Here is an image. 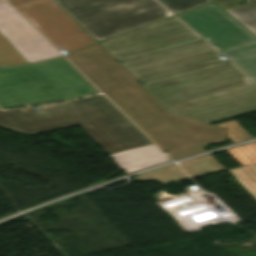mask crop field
<instances>
[{
  "label": "crop field",
  "mask_w": 256,
  "mask_h": 256,
  "mask_svg": "<svg viewBox=\"0 0 256 256\" xmlns=\"http://www.w3.org/2000/svg\"><path fill=\"white\" fill-rule=\"evenodd\" d=\"M100 44L163 107L255 83L174 16Z\"/></svg>",
  "instance_id": "1"
},
{
  "label": "crop field",
  "mask_w": 256,
  "mask_h": 256,
  "mask_svg": "<svg viewBox=\"0 0 256 256\" xmlns=\"http://www.w3.org/2000/svg\"><path fill=\"white\" fill-rule=\"evenodd\" d=\"M157 146L175 159L223 143L226 128L169 114L99 43L66 56Z\"/></svg>",
  "instance_id": "2"
},
{
  "label": "crop field",
  "mask_w": 256,
  "mask_h": 256,
  "mask_svg": "<svg viewBox=\"0 0 256 256\" xmlns=\"http://www.w3.org/2000/svg\"><path fill=\"white\" fill-rule=\"evenodd\" d=\"M37 107L0 111V121L27 134L79 125L108 155L152 144L103 95Z\"/></svg>",
  "instance_id": "3"
},
{
  "label": "crop field",
  "mask_w": 256,
  "mask_h": 256,
  "mask_svg": "<svg viewBox=\"0 0 256 256\" xmlns=\"http://www.w3.org/2000/svg\"><path fill=\"white\" fill-rule=\"evenodd\" d=\"M98 41L172 14L156 0H55Z\"/></svg>",
  "instance_id": "4"
},
{
  "label": "crop field",
  "mask_w": 256,
  "mask_h": 256,
  "mask_svg": "<svg viewBox=\"0 0 256 256\" xmlns=\"http://www.w3.org/2000/svg\"><path fill=\"white\" fill-rule=\"evenodd\" d=\"M56 48L68 52L98 42L54 0H8Z\"/></svg>",
  "instance_id": "5"
},
{
  "label": "crop field",
  "mask_w": 256,
  "mask_h": 256,
  "mask_svg": "<svg viewBox=\"0 0 256 256\" xmlns=\"http://www.w3.org/2000/svg\"><path fill=\"white\" fill-rule=\"evenodd\" d=\"M173 114L212 123L256 112V84L165 107Z\"/></svg>",
  "instance_id": "6"
},
{
  "label": "crop field",
  "mask_w": 256,
  "mask_h": 256,
  "mask_svg": "<svg viewBox=\"0 0 256 256\" xmlns=\"http://www.w3.org/2000/svg\"><path fill=\"white\" fill-rule=\"evenodd\" d=\"M31 65L0 66V106H19L60 101L62 98Z\"/></svg>",
  "instance_id": "7"
},
{
  "label": "crop field",
  "mask_w": 256,
  "mask_h": 256,
  "mask_svg": "<svg viewBox=\"0 0 256 256\" xmlns=\"http://www.w3.org/2000/svg\"><path fill=\"white\" fill-rule=\"evenodd\" d=\"M202 37H211L218 49H226L256 41V37L235 22L214 3L178 15Z\"/></svg>",
  "instance_id": "8"
},
{
  "label": "crop field",
  "mask_w": 256,
  "mask_h": 256,
  "mask_svg": "<svg viewBox=\"0 0 256 256\" xmlns=\"http://www.w3.org/2000/svg\"><path fill=\"white\" fill-rule=\"evenodd\" d=\"M0 32L29 63L61 55L5 1L0 2Z\"/></svg>",
  "instance_id": "9"
},
{
  "label": "crop field",
  "mask_w": 256,
  "mask_h": 256,
  "mask_svg": "<svg viewBox=\"0 0 256 256\" xmlns=\"http://www.w3.org/2000/svg\"><path fill=\"white\" fill-rule=\"evenodd\" d=\"M64 101L100 93L64 57L31 64Z\"/></svg>",
  "instance_id": "10"
},
{
  "label": "crop field",
  "mask_w": 256,
  "mask_h": 256,
  "mask_svg": "<svg viewBox=\"0 0 256 256\" xmlns=\"http://www.w3.org/2000/svg\"><path fill=\"white\" fill-rule=\"evenodd\" d=\"M110 157L127 174L169 161L154 145L111 155Z\"/></svg>",
  "instance_id": "11"
},
{
  "label": "crop field",
  "mask_w": 256,
  "mask_h": 256,
  "mask_svg": "<svg viewBox=\"0 0 256 256\" xmlns=\"http://www.w3.org/2000/svg\"><path fill=\"white\" fill-rule=\"evenodd\" d=\"M220 52L256 80V42Z\"/></svg>",
  "instance_id": "12"
},
{
  "label": "crop field",
  "mask_w": 256,
  "mask_h": 256,
  "mask_svg": "<svg viewBox=\"0 0 256 256\" xmlns=\"http://www.w3.org/2000/svg\"><path fill=\"white\" fill-rule=\"evenodd\" d=\"M180 166L191 178L225 170L211 155L182 162Z\"/></svg>",
  "instance_id": "13"
},
{
  "label": "crop field",
  "mask_w": 256,
  "mask_h": 256,
  "mask_svg": "<svg viewBox=\"0 0 256 256\" xmlns=\"http://www.w3.org/2000/svg\"><path fill=\"white\" fill-rule=\"evenodd\" d=\"M188 177L184 175L175 165L142 174L134 178V181H150L155 180L161 184L187 180Z\"/></svg>",
  "instance_id": "14"
},
{
  "label": "crop field",
  "mask_w": 256,
  "mask_h": 256,
  "mask_svg": "<svg viewBox=\"0 0 256 256\" xmlns=\"http://www.w3.org/2000/svg\"><path fill=\"white\" fill-rule=\"evenodd\" d=\"M228 172L256 200V164L229 170Z\"/></svg>",
  "instance_id": "15"
},
{
  "label": "crop field",
  "mask_w": 256,
  "mask_h": 256,
  "mask_svg": "<svg viewBox=\"0 0 256 256\" xmlns=\"http://www.w3.org/2000/svg\"><path fill=\"white\" fill-rule=\"evenodd\" d=\"M225 11L256 35V5L227 9Z\"/></svg>",
  "instance_id": "16"
},
{
  "label": "crop field",
  "mask_w": 256,
  "mask_h": 256,
  "mask_svg": "<svg viewBox=\"0 0 256 256\" xmlns=\"http://www.w3.org/2000/svg\"><path fill=\"white\" fill-rule=\"evenodd\" d=\"M28 63L22 55L0 33V65Z\"/></svg>",
  "instance_id": "17"
},
{
  "label": "crop field",
  "mask_w": 256,
  "mask_h": 256,
  "mask_svg": "<svg viewBox=\"0 0 256 256\" xmlns=\"http://www.w3.org/2000/svg\"><path fill=\"white\" fill-rule=\"evenodd\" d=\"M242 166L256 163V143L227 150Z\"/></svg>",
  "instance_id": "18"
},
{
  "label": "crop field",
  "mask_w": 256,
  "mask_h": 256,
  "mask_svg": "<svg viewBox=\"0 0 256 256\" xmlns=\"http://www.w3.org/2000/svg\"><path fill=\"white\" fill-rule=\"evenodd\" d=\"M175 14L211 2V0H160Z\"/></svg>",
  "instance_id": "19"
},
{
  "label": "crop field",
  "mask_w": 256,
  "mask_h": 256,
  "mask_svg": "<svg viewBox=\"0 0 256 256\" xmlns=\"http://www.w3.org/2000/svg\"><path fill=\"white\" fill-rule=\"evenodd\" d=\"M217 126L227 128V137L233 143L252 138L235 120Z\"/></svg>",
  "instance_id": "20"
},
{
  "label": "crop field",
  "mask_w": 256,
  "mask_h": 256,
  "mask_svg": "<svg viewBox=\"0 0 256 256\" xmlns=\"http://www.w3.org/2000/svg\"><path fill=\"white\" fill-rule=\"evenodd\" d=\"M0 126L6 127V128H10V129H12L13 127H15L14 125L5 124V123H1V122H0Z\"/></svg>",
  "instance_id": "21"
},
{
  "label": "crop field",
  "mask_w": 256,
  "mask_h": 256,
  "mask_svg": "<svg viewBox=\"0 0 256 256\" xmlns=\"http://www.w3.org/2000/svg\"><path fill=\"white\" fill-rule=\"evenodd\" d=\"M214 2H219V1H226V0H213Z\"/></svg>",
  "instance_id": "22"
}]
</instances>
